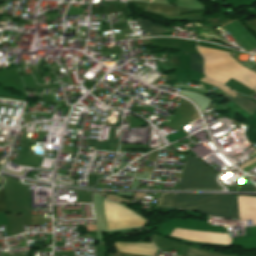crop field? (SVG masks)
<instances>
[{
  "mask_svg": "<svg viewBox=\"0 0 256 256\" xmlns=\"http://www.w3.org/2000/svg\"><path fill=\"white\" fill-rule=\"evenodd\" d=\"M156 207L185 209L240 221L238 196L235 195L161 193Z\"/></svg>",
  "mask_w": 256,
  "mask_h": 256,
  "instance_id": "8a807250",
  "label": "crop field"
},
{
  "mask_svg": "<svg viewBox=\"0 0 256 256\" xmlns=\"http://www.w3.org/2000/svg\"><path fill=\"white\" fill-rule=\"evenodd\" d=\"M205 59L206 77L225 84L231 77L253 89L256 73L239 65L228 53L197 46Z\"/></svg>",
  "mask_w": 256,
  "mask_h": 256,
  "instance_id": "ac0d7876",
  "label": "crop field"
},
{
  "mask_svg": "<svg viewBox=\"0 0 256 256\" xmlns=\"http://www.w3.org/2000/svg\"><path fill=\"white\" fill-rule=\"evenodd\" d=\"M216 175L203 162L189 156L178 188L219 189L220 187L215 180Z\"/></svg>",
  "mask_w": 256,
  "mask_h": 256,
  "instance_id": "34b2d1b8",
  "label": "crop field"
},
{
  "mask_svg": "<svg viewBox=\"0 0 256 256\" xmlns=\"http://www.w3.org/2000/svg\"><path fill=\"white\" fill-rule=\"evenodd\" d=\"M223 96L226 97L231 102H233V103L237 104L238 106H240L244 111L250 113L251 115L256 110V104L250 102L249 100H247V99H245V98H243V97H241L239 95L235 99L230 97L226 93Z\"/></svg>",
  "mask_w": 256,
  "mask_h": 256,
  "instance_id": "412701ff",
  "label": "crop field"
},
{
  "mask_svg": "<svg viewBox=\"0 0 256 256\" xmlns=\"http://www.w3.org/2000/svg\"><path fill=\"white\" fill-rule=\"evenodd\" d=\"M151 36L162 35V32H166L161 26H157L151 23H148L142 19H135Z\"/></svg>",
  "mask_w": 256,
  "mask_h": 256,
  "instance_id": "f4fd0767",
  "label": "crop field"
},
{
  "mask_svg": "<svg viewBox=\"0 0 256 256\" xmlns=\"http://www.w3.org/2000/svg\"><path fill=\"white\" fill-rule=\"evenodd\" d=\"M192 70L203 72V59L200 55L192 54L191 57Z\"/></svg>",
  "mask_w": 256,
  "mask_h": 256,
  "instance_id": "dd49c442",
  "label": "crop field"
},
{
  "mask_svg": "<svg viewBox=\"0 0 256 256\" xmlns=\"http://www.w3.org/2000/svg\"><path fill=\"white\" fill-rule=\"evenodd\" d=\"M185 256H223V255H218L214 253H209V252L189 248Z\"/></svg>",
  "mask_w": 256,
  "mask_h": 256,
  "instance_id": "e52e79f7",
  "label": "crop field"
},
{
  "mask_svg": "<svg viewBox=\"0 0 256 256\" xmlns=\"http://www.w3.org/2000/svg\"><path fill=\"white\" fill-rule=\"evenodd\" d=\"M247 189H256V187L251 183L249 179L235 186L232 190H247Z\"/></svg>",
  "mask_w": 256,
  "mask_h": 256,
  "instance_id": "d8731c3e",
  "label": "crop field"
},
{
  "mask_svg": "<svg viewBox=\"0 0 256 256\" xmlns=\"http://www.w3.org/2000/svg\"><path fill=\"white\" fill-rule=\"evenodd\" d=\"M239 168L243 169L245 172L256 167V157H254L253 159L245 162L244 164L238 166Z\"/></svg>",
  "mask_w": 256,
  "mask_h": 256,
  "instance_id": "5a996713",
  "label": "crop field"
},
{
  "mask_svg": "<svg viewBox=\"0 0 256 256\" xmlns=\"http://www.w3.org/2000/svg\"><path fill=\"white\" fill-rule=\"evenodd\" d=\"M6 205H5V195H4V186L0 190V214H6Z\"/></svg>",
  "mask_w": 256,
  "mask_h": 256,
  "instance_id": "3316defc",
  "label": "crop field"
},
{
  "mask_svg": "<svg viewBox=\"0 0 256 256\" xmlns=\"http://www.w3.org/2000/svg\"><path fill=\"white\" fill-rule=\"evenodd\" d=\"M122 256H137V255H126V254H121Z\"/></svg>",
  "mask_w": 256,
  "mask_h": 256,
  "instance_id": "28ad6ade",
  "label": "crop field"
}]
</instances>
